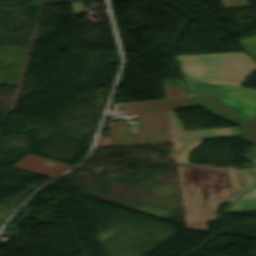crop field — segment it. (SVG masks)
Wrapping results in <instances>:
<instances>
[{
  "label": "crop field",
  "instance_id": "f4fd0767",
  "mask_svg": "<svg viewBox=\"0 0 256 256\" xmlns=\"http://www.w3.org/2000/svg\"><path fill=\"white\" fill-rule=\"evenodd\" d=\"M173 143L201 142V139L240 136L238 127L183 131L172 110H168Z\"/></svg>",
  "mask_w": 256,
  "mask_h": 256
},
{
  "label": "crop field",
  "instance_id": "34b2d1b8",
  "mask_svg": "<svg viewBox=\"0 0 256 256\" xmlns=\"http://www.w3.org/2000/svg\"><path fill=\"white\" fill-rule=\"evenodd\" d=\"M186 80L244 81L256 68L245 54L177 58Z\"/></svg>",
  "mask_w": 256,
  "mask_h": 256
},
{
  "label": "crop field",
  "instance_id": "dd49c442",
  "mask_svg": "<svg viewBox=\"0 0 256 256\" xmlns=\"http://www.w3.org/2000/svg\"><path fill=\"white\" fill-rule=\"evenodd\" d=\"M70 167L71 166H67L61 163H57L30 154H28L14 166H12V168L24 170L27 172L35 173L50 178L58 175L59 173L65 171Z\"/></svg>",
  "mask_w": 256,
  "mask_h": 256
},
{
  "label": "crop field",
  "instance_id": "d1516ede",
  "mask_svg": "<svg viewBox=\"0 0 256 256\" xmlns=\"http://www.w3.org/2000/svg\"><path fill=\"white\" fill-rule=\"evenodd\" d=\"M252 162L256 163V159L255 160H252ZM251 173L254 175V177L256 178V165L255 167L253 168V170L251 171Z\"/></svg>",
  "mask_w": 256,
  "mask_h": 256
},
{
  "label": "crop field",
  "instance_id": "5a996713",
  "mask_svg": "<svg viewBox=\"0 0 256 256\" xmlns=\"http://www.w3.org/2000/svg\"><path fill=\"white\" fill-rule=\"evenodd\" d=\"M110 133L132 132L125 121L109 122Z\"/></svg>",
  "mask_w": 256,
  "mask_h": 256
},
{
  "label": "crop field",
  "instance_id": "ac0d7876",
  "mask_svg": "<svg viewBox=\"0 0 256 256\" xmlns=\"http://www.w3.org/2000/svg\"><path fill=\"white\" fill-rule=\"evenodd\" d=\"M190 97L124 104L126 114H137V133L110 134L109 148L172 144L167 109L197 106Z\"/></svg>",
  "mask_w": 256,
  "mask_h": 256
},
{
  "label": "crop field",
  "instance_id": "e52e79f7",
  "mask_svg": "<svg viewBox=\"0 0 256 256\" xmlns=\"http://www.w3.org/2000/svg\"><path fill=\"white\" fill-rule=\"evenodd\" d=\"M188 89L191 94L194 93H203V92H213V91H223V90H231V89H245V88H235L217 84H209V83H201V82H192V81H185ZM245 90H252L256 92L255 89H245Z\"/></svg>",
  "mask_w": 256,
  "mask_h": 256
},
{
  "label": "crop field",
  "instance_id": "412701ff",
  "mask_svg": "<svg viewBox=\"0 0 256 256\" xmlns=\"http://www.w3.org/2000/svg\"><path fill=\"white\" fill-rule=\"evenodd\" d=\"M193 97L209 110L238 124L256 113V94L252 92L231 91Z\"/></svg>",
  "mask_w": 256,
  "mask_h": 256
},
{
  "label": "crop field",
  "instance_id": "d8731c3e",
  "mask_svg": "<svg viewBox=\"0 0 256 256\" xmlns=\"http://www.w3.org/2000/svg\"><path fill=\"white\" fill-rule=\"evenodd\" d=\"M241 125L244 140L251 141L256 144V114ZM245 156L250 160L256 158V147Z\"/></svg>",
  "mask_w": 256,
  "mask_h": 256
},
{
  "label": "crop field",
  "instance_id": "3316defc",
  "mask_svg": "<svg viewBox=\"0 0 256 256\" xmlns=\"http://www.w3.org/2000/svg\"><path fill=\"white\" fill-rule=\"evenodd\" d=\"M163 86L166 97L186 95L184 89L181 87L170 86L165 84H163Z\"/></svg>",
  "mask_w": 256,
  "mask_h": 256
},
{
  "label": "crop field",
  "instance_id": "28ad6ade",
  "mask_svg": "<svg viewBox=\"0 0 256 256\" xmlns=\"http://www.w3.org/2000/svg\"><path fill=\"white\" fill-rule=\"evenodd\" d=\"M109 137H99L95 148H108Z\"/></svg>",
  "mask_w": 256,
  "mask_h": 256
},
{
  "label": "crop field",
  "instance_id": "8a807250",
  "mask_svg": "<svg viewBox=\"0 0 256 256\" xmlns=\"http://www.w3.org/2000/svg\"><path fill=\"white\" fill-rule=\"evenodd\" d=\"M186 221H217L216 210L238 189L236 169L177 166Z\"/></svg>",
  "mask_w": 256,
  "mask_h": 256
}]
</instances>
